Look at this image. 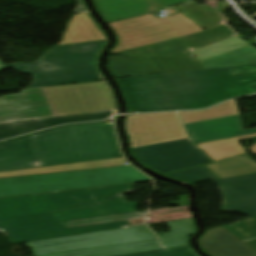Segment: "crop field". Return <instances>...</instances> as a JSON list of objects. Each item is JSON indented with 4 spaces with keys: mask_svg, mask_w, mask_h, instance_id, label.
Segmentation results:
<instances>
[{
    "mask_svg": "<svg viewBox=\"0 0 256 256\" xmlns=\"http://www.w3.org/2000/svg\"><path fill=\"white\" fill-rule=\"evenodd\" d=\"M128 111L204 109L232 97L255 93L256 64L117 80Z\"/></svg>",
    "mask_w": 256,
    "mask_h": 256,
    "instance_id": "1",
    "label": "crop field"
},
{
    "mask_svg": "<svg viewBox=\"0 0 256 256\" xmlns=\"http://www.w3.org/2000/svg\"><path fill=\"white\" fill-rule=\"evenodd\" d=\"M117 54L128 57L109 60L115 78L256 63V49L237 37L227 24Z\"/></svg>",
    "mask_w": 256,
    "mask_h": 256,
    "instance_id": "2",
    "label": "crop field"
},
{
    "mask_svg": "<svg viewBox=\"0 0 256 256\" xmlns=\"http://www.w3.org/2000/svg\"><path fill=\"white\" fill-rule=\"evenodd\" d=\"M109 110H114L113 101L103 81L24 89L0 97V123Z\"/></svg>",
    "mask_w": 256,
    "mask_h": 256,
    "instance_id": "3",
    "label": "crop field"
},
{
    "mask_svg": "<svg viewBox=\"0 0 256 256\" xmlns=\"http://www.w3.org/2000/svg\"><path fill=\"white\" fill-rule=\"evenodd\" d=\"M30 138L45 166L122 157L108 123L65 127Z\"/></svg>",
    "mask_w": 256,
    "mask_h": 256,
    "instance_id": "4",
    "label": "crop field"
},
{
    "mask_svg": "<svg viewBox=\"0 0 256 256\" xmlns=\"http://www.w3.org/2000/svg\"><path fill=\"white\" fill-rule=\"evenodd\" d=\"M107 41L54 46L33 64L3 65L32 74L30 87L83 82L102 79L97 63Z\"/></svg>",
    "mask_w": 256,
    "mask_h": 256,
    "instance_id": "5",
    "label": "crop field"
},
{
    "mask_svg": "<svg viewBox=\"0 0 256 256\" xmlns=\"http://www.w3.org/2000/svg\"><path fill=\"white\" fill-rule=\"evenodd\" d=\"M149 180L147 176L131 166L0 178V198L129 184Z\"/></svg>",
    "mask_w": 256,
    "mask_h": 256,
    "instance_id": "6",
    "label": "crop field"
},
{
    "mask_svg": "<svg viewBox=\"0 0 256 256\" xmlns=\"http://www.w3.org/2000/svg\"><path fill=\"white\" fill-rule=\"evenodd\" d=\"M133 185L134 184L0 199V218L89 207V205L97 206L123 203L126 202V200L120 195L131 192ZM70 196L73 198H69ZM77 199L82 202H77Z\"/></svg>",
    "mask_w": 256,
    "mask_h": 256,
    "instance_id": "7",
    "label": "crop field"
},
{
    "mask_svg": "<svg viewBox=\"0 0 256 256\" xmlns=\"http://www.w3.org/2000/svg\"><path fill=\"white\" fill-rule=\"evenodd\" d=\"M109 26L118 41L110 54L204 31L182 13L161 18L146 14Z\"/></svg>",
    "mask_w": 256,
    "mask_h": 256,
    "instance_id": "8",
    "label": "crop field"
},
{
    "mask_svg": "<svg viewBox=\"0 0 256 256\" xmlns=\"http://www.w3.org/2000/svg\"><path fill=\"white\" fill-rule=\"evenodd\" d=\"M155 235L145 226L112 229L103 232L73 235L31 243L36 256L86 250L155 240Z\"/></svg>",
    "mask_w": 256,
    "mask_h": 256,
    "instance_id": "9",
    "label": "crop field"
},
{
    "mask_svg": "<svg viewBox=\"0 0 256 256\" xmlns=\"http://www.w3.org/2000/svg\"><path fill=\"white\" fill-rule=\"evenodd\" d=\"M168 176L191 183L212 180L222 191L223 211L256 215V174L219 180L202 166Z\"/></svg>",
    "mask_w": 256,
    "mask_h": 256,
    "instance_id": "10",
    "label": "crop field"
},
{
    "mask_svg": "<svg viewBox=\"0 0 256 256\" xmlns=\"http://www.w3.org/2000/svg\"><path fill=\"white\" fill-rule=\"evenodd\" d=\"M126 127L133 148L187 138L176 112L128 116Z\"/></svg>",
    "mask_w": 256,
    "mask_h": 256,
    "instance_id": "11",
    "label": "crop field"
},
{
    "mask_svg": "<svg viewBox=\"0 0 256 256\" xmlns=\"http://www.w3.org/2000/svg\"><path fill=\"white\" fill-rule=\"evenodd\" d=\"M131 226L128 224L126 220L124 221H117V222H110V223H102V224H95L77 228H66L63 226L62 223L60 224H52V225H42V226H35L17 230H8L3 231L7 236H9L13 242L16 243H23V242H31L73 234H80V233H88V232H96L102 231L106 229L112 228H120V227H128Z\"/></svg>",
    "mask_w": 256,
    "mask_h": 256,
    "instance_id": "12",
    "label": "crop field"
},
{
    "mask_svg": "<svg viewBox=\"0 0 256 256\" xmlns=\"http://www.w3.org/2000/svg\"><path fill=\"white\" fill-rule=\"evenodd\" d=\"M191 0H94L107 23L156 12Z\"/></svg>",
    "mask_w": 256,
    "mask_h": 256,
    "instance_id": "13",
    "label": "crop field"
},
{
    "mask_svg": "<svg viewBox=\"0 0 256 256\" xmlns=\"http://www.w3.org/2000/svg\"><path fill=\"white\" fill-rule=\"evenodd\" d=\"M185 127L195 144L256 133V128L243 130L239 115L187 124Z\"/></svg>",
    "mask_w": 256,
    "mask_h": 256,
    "instance_id": "14",
    "label": "crop field"
},
{
    "mask_svg": "<svg viewBox=\"0 0 256 256\" xmlns=\"http://www.w3.org/2000/svg\"><path fill=\"white\" fill-rule=\"evenodd\" d=\"M44 166L29 136L0 143V172Z\"/></svg>",
    "mask_w": 256,
    "mask_h": 256,
    "instance_id": "15",
    "label": "crop field"
},
{
    "mask_svg": "<svg viewBox=\"0 0 256 256\" xmlns=\"http://www.w3.org/2000/svg\"><path fill=\"white\" fill-rule=\"evenodd\" d=\"M211 256H256V252L223 226L212 229L199 240Z\"/></svg>",
    "mask_w": 256,
    "mask_h": 256,
    "instance_id": "16",
    "label": "crop field"
},
{
    "mask_svg": "<svg viewBox=\"0 0 256 256\" xmlns=\"http://www.w3.org/2000/svg\"><path fill=\"white\" fill-rule=\"evenodd\" d=\"M133 152L146 165L203 155L188 139L135 148Z\"/></svg>",
    "mask_w": 256,
    "mask_h": 256,
    "instance_id": "17",
    "label": "crop field"
},
{
    "mask_svg": "<svg viewBox=\"0 0 256 256\" xmlns=\"http://www.w3.org/2000/svg\"><path fill=\"white\" fill-rule=\"evenodd\" d=\"M113 111L86 115V116H78V117H65V118H50L41 121H27V122H16L0 125V139L60 125L65 123H73V122H82V121H91V120H99L105 119L111 116Z\"/></svg>",
    "mask_w": 256,
    "mask_h": 256,
    "instance_id": "18",
    "label": "crop field"
},
{
    "mask_svg": "<svg viewBox=\"0 0 256 256\" xmlns=\"http://www.w3.org/2000/svg\"><path fill=\"white\" fill-rule=\"evenodd\" d=\"M139 202L50 212L56 223L136 212Z\"/></svg>",
    "mask_w": 256,
    "mask_h": 256,
    "instance_id": "19",
    "label": "crop field"
},
{
    "mask_svg": "<svg viewBox=\"0 0 256 256\" xmlns=\"http://www.w3.org/2000/svg\"><path fill=\"white\" fill-rule=\"evenodd\" d=\"M107 40L87 13L72 15L59 44ZM57 44V45H59Z\"/></svg>",
    "mask_w": 256,
    "mask_h": 256,
    "instance_id": "20",
    "label": "crop field"
},
{
    "mask_svg": "<svg viewBox=\"0 0 256 256\" xmlns=\"http://www.w3.org/2000/svg\"><path fill=\"white\" fill-rule=\"evenodd\" d=\"M204 166L219 179L256 173V162L247 154Z\"/></svg>",
    "mask_w": 256,
    "mask_h": 256,
    "instance_id": "21",
    "label": "crop field"
},
{
    "mask_svg": "<svg viewBox=\"0 0 256 256\" xmlns=\"http://www.w3.org/2000/svg\"><path fill=\"white\" fill-rule=\"evenodd\" d=\"M124 163H126L124 158L74 163V164H66V165H58V166H50V167L33 168V169L21 170V171L2 172L0 173V177L66 172V171L121 166V165H124Z\"/></svg>",
    "mask_w": 256,
    "mask_h": 256,
    "instance_id": "22",
    "label": "crop field"
},
{
    "mask_svg": "<svg viewBox=\"0 0 256 256\" xmlns=\"http://www.w3.org/2000/svg\"><path fill=\"white\" fill-rule=\"evenodd\" d=\"M160 248L162 247L156 240V241H150V242L98 248V249H92V250H86V251L49 255V256H115L120 254L160 249Z\"/></svg>",
    "mask_w": 256,
    "mask_h": 256,
    "instance_id": "23",
    "label": "crop field"
},
{
    "mask_svg": "<svg viewBox=\"0 0 256 256\" xmlns=\"http://www.w3.org/2000/svg\"><path fill=\"white\" fill-rule=\"evenodd\" d=\"M256 137V134L200 144L198 145L203 151H205L214 161L241 155L246 153L240 146L238 140Z\"/></svg>",
    "mask_w": 256,
    "mask_h": 256,
    "instance_id": "24",
    "label": "crop field"
},
{
    "mask_svg": "<svg viewBox=\"0 0 256 256\" xmlns=\"http://www.w3.org/2000/svg\"><path fill=\"white\" fill-rule=\"evenodd\" d=\"M179 113L184 124L239 114L234 100L222 103L209 110Z\"/></svg>",
    "mask_w": 256,
    "mask_h": 256,
    "instance_id": "25",
    "label": "crop field"
},
{
    "mask_svg": "<svg viewBox=\"0 0 256 256\" xmlns=\"http://www.w3.org/2000/svg\"><path fill=\"white\" fill-rule=\"evenodd\" d=\"M0 229H16L34 225L55 223L49 212L0 219Z\"/></svg>",
    "mask_w": 256,
    "mask_h": 256,
    "instance_id": "26",
    "label": "crop field"
},
{
    "mask_svg": "<svg viewBox=\"0 0 256 256\" xmlns=\"http://www.w3.org/2000/svg\"><path fill=\"white\" fill-rule=\"evenodd\" d=\"M210 160L206 158L205 156L190 158V159H184V160H177V161H171V162H165V163H159V164H153L148 165L153 170L165 174L205 163H209Z\"/></svg>",
    "mask_w": 256,
    "mask_h": 256,
    "instance_id": "27",
    "label": "crop field"
},
{
    "mask_svg": "<svg viewBox=\"0 0 256 256\" xmlns=\"http://www.w3.org/2000/svg\"><path fill=\"white\" fill-rule=\"evenodd\" d=\"M121 256H198L190 246H181L169 249H160Z\"/></svg>",
    "mask_w": 256,
    "mask_h": 256,
    "instance_id": "28",
    "label": "crop field"
},
{
    "mask_svg": "<svg viewBox=\"0 0 256 256\" xmlns=\"http://www.w3.org/2000/svg\"><path fill=\"white\" fill-rule=\"evenodd\" d=\"M171 228L169 233L163 234L160 239L181 236V235H192L195 231V225L193 219L170 221L167 222Z\"/></svg>",
    "mask_w": 256,
    "mask_h": 256,
    "instance_id": "29",
    "label": "crop field"
},
{
    "mask_svg": "<svg viewBox=\"0 0 256 256\" xmlns=\"http://www.w3.org/2000/svg\"><path fill=\"white\" fill-rule=\"evenodd\" d=\"M139 217H143V215H140L139 213H133V214L118 215V216H110L105 218L74 221V222H68L63 224L67 227H76V226H82V225H88V224H94V223L110 222V221L139 218Z\"/></svg>",
    "mask_w": 256,
    "mask_h": 256,
    "instance_id": "30",
    "label": "crop field"
},
{
    "mask_svg": "<svg viewBox=\"0 0 256 256\" xmlns=\"http://www.w3.org/2000/svg\"><path fill=\"white\" fill-rule=\"evenodd\" d=\"M160 241L165 248L180 246V245H188L187 236L163 239Z\"/></svg>",
    "mask_w": 256,
    "mask_h": 256,
    "instance_id": "31",
    "label": "crop field"
},
{
    "mask_svg": "<svg viewBox=\"0 0 256 256\" xmlns=\"http://www.w3.org/2000/svg\"><path fill=\"white\" fill-rule=\"evenodd\" d=\"M178 199H179V202H170V204L177 205V206L189 205L186 195L178 196Z\"/></svg>",
    "mask_w": 256,
    "mask_h": 256,
    "instance_id": "32",
    "label": "crop field"
},
{
    "mask_svg": "<svg viewBox=\"0 0 256 256\" xmlns=\"http://www.w3.org/2000/svg\"><path fill=\"white\" fill-rule=\"evenodd\" d=\"M79 8L75 11V13H82V12H87V9L84 5V3L82 2V0H77Z\"/></svg>",
    "mask_w": 256,
    "mask_h": 256,
    "instance_id": "33",
    "label": "crop field"
},
{
    "mask_svg": "<svg viewBox=\"0 0 256 256\" xmlns=\"http://www.w3.org/2000/svg\"><path fill=\"white\" fill-rule=\"evenodd\" d=\"M250 150H251L253 153H256V145H254L253 147H251Z\"/></svg>",
    "mask_w": 256,
    "mask_h": 256,
    "instance_id": "34",
    "label": "crop field"
},
{
    "mask_svg": "<svg viewBox=\"0 0 256 256\" xmlns=\"http://www.w3.org/2000/svg\"><path fill=\"white\" fill-rule=\"evenodd\" d=\"M253 89H254V91L256 92V85H252L251 86Z\"/></svg>",
    "mask_w": 256,
    "mask_h": 256,
    "instance_id": "35",
    "label": "crop field"
}]
</instances>
